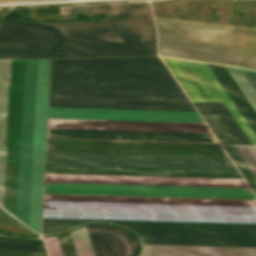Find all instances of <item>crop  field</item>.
<instances>
[{
	"label": "crop field",
	"instance_id": "crop-field-3",
	"mask_svg": "<svg viewBox=\"0 0 256 256\" xmlns=\"http://www.w3.org/2000/svg\"><path fill=\"white\" fill-rule=\"evenodd\" d=\"M46 173L242 178L237 170L46 165ZM46 174L45 182L249 188L243 179ZM45 184V191L255 197L226 188Z\"/></svg>",
	"mask_w": 256,
	"mask_h": 256
},
{
	"label": "crop field",
	"instance_id": "crop-field-7",
	"mask_svg": "<svg viewBox=\"0 0 256 256\" xmlns=\"http://www.w3.org/2000/svg\"><path fill=\"white\" fill-rule=\"evenodd\" d=\"M87 221H108L137 233L143 244L256 247V224L43 218L42 234Z\"/></svg>",
	"mask_w": 256,
	"mask_h": 256
},
{
	"label": "crop field",
	"instance_id": "crop-field-11",
	"mask_svg": "<svg viewBox=\"0 0 256 256\" xmlns=\"http://www.w3.org/2000/svg\"><path fill=\"white\" fill-rule=\"evenodd\" d=\"M48 128L211 133L205 123L48 119Z\"/></svg>",
	"mask_w": 256,
	"mask_h": 256
},
{
	"label": "crop field",
	"instance_id": "crop-field-24",
	"mask_svg": "<svg viewBox=\"0 0 256 256\" xmlns=\"http://www.w3.org/2000/svg\"><path fill=\"white\" fill-rule=\"evenodd\" d=\"M0 1H21V0H0Z\"/></svg>",
	"mask_w": 256,
	"mask_h": 256
},
{
	"label": "crop field",
	"instance_id": "crop-field-1",
	"mask_svg": "<svg viewBox=\"0 0 256 256\" xmlns=\"http://www.w3.org/2000/svg\"><path fill=\"white\" fill-rule=\"evenodd\" d=\"M60 14H107V21L0 20V58L157 54L148 3L60 7Z\"/></svg>",
	"mask_w": 256,
	"mask_h": 256
},
{
	"label": "crop field",
	"instance_id": "crop-field-8",
	"mask_svg": "<svg viewBox=\"0 0 256 256\" xmlns=\"http://www.w3.org/2000/svg\"><path fill=\"white\" fill-rule=\"evenodd\" d=\"M47 151L227 157L219 144L47 139Z\"/></svg>",
	"mask_w": 256,
	"mask_h": 256
},
{
	"label": "crop field",
	"instance_id": "crop-field-10",
	"mask_svg": "<svg viewBox=\"0 0 256 256\" xmlns=\"http://www.w3.org/2000/svg\"><path fill=\"white\" fill-rule=\"evenodd\" d=\"M191 102H224L252 145L256 135L207 64L162 57Z\"/></svg>",
	"mask_w": 256,
	"mask_h": 256
},
{
	"label": "crop field",
	"instance_id": "crop-field-16",
	"mask_svg": "<svg viewBox=\"0 0 256 256\" xmlns=\"http://www.w3.org/2000/svg\"><path fill=\"white\" fill-rule=\"evenodd\" d=\"M77 256H95L85 226L70 232ZM69 234L56 236L64 256H76ZM55 236L44 238L50 256H63Z\"/></svg>",
	"mask_w": 256,
	"mask_h": 256
},
{
	"label": "crop field",
	"instance_id": "crop-field-18",
	"mask_svg": "<svg viewBox=\"0 0 256 256\" xmlns=\"http://www.w3.org/2000/svg\"><path fill=\"white\" fill-rule=\"evenodd\" d=\"M0 255L47 256L42 240L17 239L0 236Z\"/></svg>",
	"mask_w": 256,
	"mask_h": 256
},
{
	"label": "crop field",
	"instance_id": "crop-field-17",
	"mask_svg": "<svg viewBox=\"0 0 256 256\" xmlns=\"http://www.w3.org/2000/svg\"><path fill=\"white\" fill-rule=\"evenodd\" d=\"M244 117L256 132V111L236 84L225 66L208 64Z\"/></svg>",
	"mask_w": 256,
	"mask_h": 256
},
{
	"label": "crop field",
	"instance_id": "crop-field-13",
	"mask_svg": "<svg viewBox=\"0 0 256 256\" xmlns=\"http://www.w3.org/2000/svg\"><path fill=\"white\" fill-rule=\"evenodd\" d=\"M52 138L209 142L210 134L52 129Z\"/></svg>",
	"mask_w": 256,
	"mask_h": 256
},
{
	"label": "crop field",
	"instance_id": "crop-field-23",
	"mask_svg": "<svg viewBox=\"0 0 256 256\" xmlns=\"http://www.w3.org/2000/svg\"><path fill=\"white\" fill-rule=\"evenodd\" d=\"M256 178V147L234 146Z\"/></svg>",
	"mask_w": 256,
	"mask_h": 256
},
{
	"label": "crop field",
	"instance_id": "crop-field-6",
	"mask_svg": "<svg viewBox=\"0 0 256 256\" xmlns=\"http://www.w3.org/2000/svg\"><path fill=\"white\" fill-rule=\"evenodd\" d=\"M154 18L159 55L256 70V29Z\"/></svg>",
	"mask_w": 256,
	"mask_h": 256
},
{
	"label": "crop field",
	"instance_id": "crop-field-12",
	"mask_svg": "<svg viewBox=\"0 0 256 256\" xmlns=\"http://www.w3.org/2000/svg\"><path fill=\"white\" fill-rule=\"evenodd\" d=\"M49 118L203 122L197 112L49 108Z\"/></svg>",
	"mask_w": 256,
	"mask_h": 256
},
{
	"label": "crop field",
	"instance_id": "crop-field-19",
	"mask_svg": "<svg viewBox=\"0 0 256 256\" xmlns=\"http://www.w3.org/2000/svg\"><path fill=\"white\" fill-rule=\"evenodd\" d=\"M221 144H237L210 103H193Z\"/></svg>",
	"mask_w": 256,
	"mask_h": 256
},
{
	"label": "crop field",
	"instance_id": "crop-field-21",
	"mask_svg": "<svg viewBox=\"0 0 256 256\" xmlns=\"http://www.w3.org/2000/svg\"><path fill=\"white\" fill-rule=\"evenodd\" d=\"M213 108L216 110L222 121L225 123L233 137L236 139L238 144L251 145L239 125L236 123L224 103H211Z\"/></svg>",
	"mask_w": 256,
	"mask_h": 256
},
{
	"label": "crop field",
	"instance_id": "crop-field-14",
	"mask_svg": "<svg viewBox=\"0 0 256 256\" xmlns=\"http://www.w3.org/2000/svg\"><path fill=\"white\" fill-rule=\"evenodd\" d=\"M86 227L96 256L134 255L137 242L130 233L105 225Z\"/></svg>",
	"mask_w": 256,
	"mask_h": 256
},
{
	"label": "crop field",
	"instance_id": "crop-field-15",
	"mask_svg": "<svg viewBox=\"0 0 256 256\" xmlns=\"http://www.w3.org/2000/svg\"><path fill=\"white\" fill-rule=\"evenodd\" d=\"M139 256H256V248L143 245Z\"/></svg>",
	"mask_w": 256,
	"mask_h": 256
},
{
	"label": "crop field",
	"instance_id": "crop-field-5",
	"mask_svg": "<svg viewBox=\"0 0 256 256\" xmlns=\"http://www.w3.org/2000/svg\"><path fill=\"white\" fill-rule=\"evenodd\" d=\"M37 60H25L16 218L28 225ZM50 59L38 60L29 227L41 234Z\"/></svg>",
	"mask_w": 256,
	"mask_h": 256
},
{
	"label": "crop field",
	"instance_id": "crop-field-22",
	"mask_svg": "<svg viewBox=\"0 0 256 256\" xmlns=\"http://www.w3.org/2000/svg\"><path fill=\"white\" fill-rule=\"evenodd\" d=\"M223 147L225 148V150L227 151L229 156L232 158V160L234 161V163L236 164V166L238 167L240 172L243 174L245 179L246 178L248 179L247 180L248 183L250 184V186L253 188V190L256 193V179L254 178L252 173L249 171V169L247 168L245 163L242 161V159L240 158L238 153L235 151L233 146H223Z\"/></svg>",
	"mask_w": 256,
	"mask_h": 256
},
{
	"label": "crop field",
	"instance_id": "crop-field-4",
	"mask_svg": "<svg viewBox=\"0 0 256 256\" xmlns=\"http://www.w3.org/2000/svg\"><path fill=\"white\" fill-rule=\"evenodd\" d=\"M43 217L256 223V201L44 195Z\"/></svg>",
	"mask_w": 256,
	"mask_h": 256
},
{
	"label": "crop field",
	"instance_id": "crop-field-9",
	"mask_svg": "<svg viewBox=\"0 0 256 256\" xmlns=\"http://www.w3.org/2000/svg\"><path fill=\"white\" fill-rule=\"evenodd\" d=\"M46 164L235 169L229 158L47 152Z\"/></svg>",
	"mask_w": 256,
	"mask_h": 256
},
{
	"label": "crop field",
	"instance_id": "crop-field-20",
	"mask_svg": "<svg viewBox=\"0 0 256 256\" xmlns=\"http://www.w3.org/2000/svg\"><path fill=\"white\" fill-rule=\"evenodd\" d=\"M226 68L256 110V72L243 68Z\"/></svg>",
	"mask_w": 256,
	"mask_h": 256
},
{
	"label": "crop field",
	"instance_id": "crop-field-2",
	"mask_svg": "<svg viewBox=\"0 0 256 256\" xmlns=\"http://www.w3.org/2000/svg\"><path fill=\"white\" fill-rule=\"evenodd\" d=\"M49 107L195 111L159 57L53 59Z\"/></svg>",
	"mask_w": 256,
	"mask_h": 256
}]
</instances>
